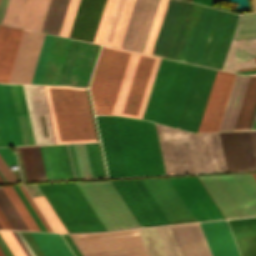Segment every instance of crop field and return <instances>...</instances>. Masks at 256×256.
Here are the masks:
<instances>
[{
    "instance_id": "crop-field-1",
    "label": "crop field",
    "mask_w": 256,
    "mask_h": 256,
    "mask_svg": "<svg viewBox=\"0 0 256 256\" xmlns=\"http://www.w3.org/2000/svg\"><path fill=\"white\" fill-rule=\"evenodd\" d=\"M188 4L169 0L151 54L171 57ZM238 17L203 6L197 24L179 33L171 58L222 69Z\"/></svg>"
},
{
    "instance_id": "crop-field-2",
    "label": "crop field",
    "mask_w": 256,
    "mask_h": 256,
    "mask_svg": "<svg viewBox=\"0 0 256 256\" xmlns=\"http://www.w3.org/2000/svg\"><path fill=\"white\" fill-rule=\"evenodd\" d=\"M160 59L102 46L90 86L95 113L141 118Z\"/></svg>"
},
{
    "instance_id": "crop-field-3",
    "label": "crop field",
    "mask_w": 256,
    "mask_h": 256,
    "mask_svg": "<svg viewBox=\"0 0 256 256\" xmlns=\"http://www.w3.org/2000/svg\"><path fill=\"white\" fill-rule=\"evenodd\" d=\"M126 176L165 174L155 125L112 116ZM111 116H96L109 177L125 176Z\"/></svg>"
},
{
    "instance_id": "crop-field-4",
    "label": "crop field",
    "mask_w": 256,
    "mask_h": 256,
    "mask_svg": "<svg viewBox=\"0 0 256 256\" xmlns=\"http://www.w3.org/2000/svg\"><path fill=\"white\" fill-rule=\"evenodd\" d=\"M197 66L178 128L197 132L215 74ZM236 74L216 71L198 132L218 131Z\"/></svg>"
},
{
    "instance_id": "crop-field-5",
    "label": "crop field",
    "mask_w": 256,
    "mask_h": 256,
    "mask_svg": "<svg viewBox=\"0 0 256 256\" xmlns=\"http://www.w3.org/2000/svg\"><path fill=\"white\" fill-rule=\"evenodd\" d=\"M195 67L162 58L142 118L177 128Z\"/></svg>"
},
{
    "instance_id": "crop-field-6",
    "label": "crop field",
    "mask_w": 256,
    "mask_h": 256,
    "mask_svg": "<svg viewBox=\"0 0 256 256\" xmlns=\"http://www.w3.org/2000/svg\"><path fill=\"white\" fill-rule=\"evenodd\" d=\"M44 88L57 143L97 141L85 89Z\"/></svg>"
},
{
    "instance_id": "crop-field-7",
    "label": "crop field",
    "mask_w": 256,
    "mask_h": 256,
    "mask_svg": "<svg viewBox=\"0 0 256 256\" xmlns=\"http://www.w3.org/2000/svg\"><path fill=\"white\" fill-rule=\"evenodd\" d=\"M40 148L48 180L105 177L96 143Z\"/></svg>"
},
{
    "instance_id": "crop-field-8",
    "label": "crop field",
    "mask_w": 256,
    "mask_h": 256,
    "mask_svg": "<svg viewBox=\"0 0 256 256\" xmlns=\"http://www.w3.org/2000/svg\"><path fill=\"white\" fill-rule=\"evenodd\" d=\"M38 187L68 232L106 231L75 183Z\"/></svg>"
},
{
    "instance_id": "crop-field-9",
    "label": "crop field",
    "mask_w": 256,
    "mask_h": 256,
    "mask_svg": "<svg viewBox=\"0 0 256 256\" xmlns=\"http://www.w3.org/2000/svg\"><path fill=\"white\" fill-rule=\"evenodd\" d=\"M199 178L227 218L256 215V182L251 174Z\"/></svg>"
},
{
    "instance_id": "crop-field-10",
    "label": "crop field",
    "mask_w": 256,
    "mask_h": 256,
    "mask_svg": "<svg viewBox=\"0 0 256 256\" xmlns=\"http://www.w3.org/2000/svg\"><path fill=\"white\" fill-rule=\"evenodd\" d=\"M106 229L140 227L110 181L76 183Z\"/></svg>"
},
{
    "instance_id": "crop-field-11",
    "label": "crop field",
    "mask_w": 256,
    "mask_h": 256,
    "mask_svg": "<svg viewBox=\"0 0 256 256\" xmlns=\"http://www.w3.org/2000/svg\"><path fill=\"white\" fill-rule=\"evenodd\" d=\"M78 248L142 242L137 230L71 235ZM83 256H147L142 243L80 249Z\"/></svg>"
},
{
    "instance_id": "crop-field-12",
    "label": "crop field",
    "mask_w": 256,
    "mask_h": 256,
    "mask_svg": "<svg viewBox=\"0 0 256 256\" xmlns=\"http://www.w3.org/2000/svg\"><path fill=\"white\" fill-rule=\"evenodd\" d=\"M238 75V74H237ZM251 76V75H248ZM250 77L236 76L220 129H234ZM256 107V74L251 76L235 130L249 129ZM226 131V130H219Z\"/></svg>"
},
{
    "instance_id": "crop-field-13",
    "label": "crop field",
    "mask_w": 256,
    "mask_h": 256,
    "mask_svg": "<svg viewBox=\"0 0 256 256\" xmlns=\"http://www.w3.org/2000/svg\"><path fill=\"white\" fill-rule=\"evenodd\" d=\"M141 227L169 224L141 180L112 182ZM171 224V223H170Z\"/></svg>"
},
{
    "instance_id": "crop-field-14",
    "label": "crop field",
    "mask_w": 256,
    "mask_h": 256,
    "mask_svg": "<svg viewBox=\"0 0 256 256\" xmlns=\"http://www.w3.org/2000/svg\"><path fill=\"white\" fill-rule=\"evenodd\" d=\"M196 221L225 218L198 177L169 179Z\"/></svg>"
},
{
    "instance_id": "crop-field-15",
    "label": "crop field",
    "mask_w": 256,
    "mask_h": 256,
    "mask_svg": "<svg viewBox=\"0 0 256 256\" xmlns=\"http://www.w3.org/2000/svg\"><path fill=\"white\" fill-rule=\"evenodd\" d=\"M69 40L45 35L31 84H58Z\"/></svg>"
},
{
    "instance_id": "crop-field-16",
    "label": "crop field",
    "mask_w": 256,
    "mask_h": 256,
    "mask_svg": "<svg viewBox=\"0 0 256 256\" xmlns=\"http://www.w3.org/2000/svg\"><path fill=\"white\" fill-rule=\"evenodd\" d=\"M142 181L171 224L195 221L167 178Z\"/></svg>"
},
{
    "instance_id": "crop-field-17",
    "label": "crop field",
    "mask_w": 256,
    "mask_h": 256,
    "mask_svg": "<svg viewBox=\"0 0 256 256\" xmlns=\"http://www.w3.org/2000/svg\"><path fill=\"white\" fill-rule=\"evenodd\" d=\"M44 35L23 31L9 83H31Z\"/></svg>"
},
{
    "instance_id": "crop-field-18",
    "label": "crop field",
    "mask_w": 256,
    "mask_h": 256,
    "mask_svg": "<svg viewBox=\"0 0 256 256\" xmlns=\"http://www.w3.org/2000/svg\"><path fill=\"white\" fill-rule=\"evenodd\" d=\"M49 0H9L4 24L41 30Z\"/></svg>"
},
{
    "instance_id": "crop-field-19",
    "label": "crop field",
    "mask_w": 256,
    "mask_h": 256,
    "mask_svg": "<svg viewBox=\"0 0 256 256\" xmlns=\"http://www.w3.org/2000/svg\"><path fill=\"white\" fill-rule=\"evenodd\" d=\"M212 256H239L226 221L200 223Z\"/></svg>"
},
{
    "instance_id": "crop-field-20",
    "label": "crop field",
    "mask_w": 256,
    "mask_h": 256,
    "mask_svg": "<svg viewBox=\"0 0 256 256\" xmlns=\"http://www.w3.org/2000/svg\"><path fill=\"white\" fill-rule=\"evenodd\" d=\"M102 4L103 0H80L69 37L91 41Z\"/></svg>"
},
{
    "instance_id": "crop-field-21",
    "label": "crop field",
    "mask_w": 256,
    "mask_h": 256,
    "mask_svg": "<svg viewBox=\"0 0 256 256\" xmlns=\"http://www.w3.org/2000/svg\"><path fill=\"white\" fill-rule=\"evenodd\" d=\"M0 121L6 146L23 145L9 85L0 84Z\"/></svg>"
},
{
    "instance_id": "crop-field-22",
    "label": "crop field",
    "mask_w": 256,
    "mask_h": 256,
    "mask_svg": "<svg viewBox=\"0 0 256 256\" xmlns=\"http://www.w3.org/2000/svg\"><path fill=\"white\" fill-rule=\"evenodd\" d=\"M172 227L184 256H211L199 223Z\"/></svg>"
},
{
    "instance_id": "crop-field-23",
    "label": "crop field",
    "mask_w": 256,
    "mask_h": 256,
    "mask_svg": "<svg viewBox=\"0 0 256 256\" xmlns=\"http://www.w3.org/2000/svg\"><path fill=\"white\" fill-rule=\"evenodd\" d=\"M22 31L0 25V82L9 81Z\"/></svg>"
},
{
    "instance_id": "crop-field-24",
    "label": "crop field",
    "mask_w": 256,
    "mask_h": 256,
    "mask_svg": "<svg viewBox=\"0 0 256 256\" xmlns=\"http://www.w3.org/2000/svg\"><path fill=\"white\" fill-rule=\"evenodd\" d=\"M96 44L79 42L76 58L67 85L86 87L97 50Z\"/></svg>"
},
{
    "instance_id": "crop-field-25",
    "label": "crop field",
    "mask_w": 256,
    "mask_h": 256,
    "mask_svg": "<svg viewBox=\"0 0 256 256\" xmlns=\"http://www.w3.org/2000/svg\"><path fill=\"white\" fill-rule=\"evenodd\" d=\"M219 135L228 170L247 169L239 132Z\"/></svg>"
},
{
    "instance_id": "crop-field-26",
    "label": "crop field",
    "mask_w": 256,
    "mask_h": 256,
    "mask_svg": "<svg viewBox=\"0 0 256 256\" xmlns=\"http://www.w3.org/2000/svg\"><path fill=\"white\" fill-rule=\"evenodd\" d=\"M24 145L35 144L22 85H10Z\"/></svg>"
},
{
    "instance_id": "crop-field-27",
    "label": "crop field",
    "mask_w": 256,
    "mask_h": 256,
    "mask_svg": "<svg viewBox=\"0 0 256 256\" xmlns=\"http://www.w3.org/2000/svg\"><path fill=\"white\" fill-rule=\"evenodd\" d=\"M45 256H74L59 234L31 232Z\"/></svg>"
},
{
    "instance_id": "crop-field-28",
    "label": "crop field",
    "mask_w": 256,
    "mask_h": 256,
    "mask_svg": "<svg viewBox=\"0 0 256 256\" xmlns=\"http://www.w3.org/2000/svg\"><path fill=\"white\" fill-rule=\"evenodd\" d=\"M230 227L241 256H256V224Z\"/></svg>"
},
{
    "instance_id": "crop-field-29",
    "label": "crop field",
    "mask_w": 256,
    "mask_h": 256,
    "mask_svg": "<svg viewBox=\"0 0 256 256\" xmlns=\"http://www.w3.org/2000/svg\"><path fill=\"white\" fill-rule=\"evenodd\" d=\"M69 0H50L43 23V32L59 34Z\"/></svg>"
},
{
    "instance_id": "crop-field-30",
    "label": "crop field",
    "mask_w": 256,
    "mask_h": 256,
    "mask_svg": "<svg viewBox=\"0 0 256 256\" xmlns=\"http://www.w3.org/2000/svg\"><path fill=\"white\" fill-rule=\"evenodd\" d=\"M0 208L10 222L13 229L28 230L2 187H0Z\"/></svg>"
},
{
    "instance_id": "crop-field-31",
    "label": "crop field",
    "mask_w": 256,
    "mask_h": 256,
    "mask_svg": "<svg viewBox=\"0 0 256 256\" xmlns=\"http://www.w3.org/2000/svg\"><path fill=\"white\" fill-rule=\"evenodd\" d=\"M3 189L5 190L6 194L8 195L10 200L12 201V203L15 206V208L17 209V211L19 212L20 216L22 217V219L26 223L29 230L40 231L37 224L33 220L32 216L30 215V213L26 209L25 205L21 201L20 197L18 196V194L14 190L13 186L3 187Z\"/></svg>"
},
{
    "instance_id": "crop-field-32",
    "label": "crop field",
    "mask_w": 256,
    "mask_h": 256,
    "mask_svg": "<svg viewBox=\"0 0 256 256\" xmlns=\"http://www.w3.org/2000/svg\"><path fill=\"white\" fill-rule=\"evenodd\" d=\"M46 220L55 232H67L44 196L33 197Z\"/></svg>"
},
{
    "instance_id": "crop-field-33",
    "label": "crop field",
    "mask_w": 256,
    "mask_h": 256,
    "mask_svg": "<svg viewBox=\"0 0 256 256\" xmlns=\"http://www.w3.org/2000/svg\"><path fill=\"white\" fill-rule=\"evenodd\" d=\"M0 155L5 160V162L10 167L11 165H17L16 158L10 147H2L0 148ZM0 156V172L8 181V183L19 182L7 164Z\"/></svg>"
},
{
    "instance_id": "crop-field-34",
    "label": "crop field",
    "mask_w": 256,
    "mask_h": 256,
    "mask_svg": "<svg viewBox=\"0 0 256 256\" xmlns=\"http://www.w3.org/2000/svg\"><path fill=\"white\" fill-rule=\"evenodd\" d=\"M256 36V13L241 15L234 39Z\"/></svg>"
},
{
    "instance_id": "crop-field-35",
    "label": "crop field",
    "mask_w": 256,
    "mask_h": 256,
    "mask_svg": "<svg viewBox=\"0 0 256 256\" xmlns=\"http://www.w3.org/2000/svg\"><path fill=\"white\" fill-rule=\"evenodd\" d=\"M78 42L79 41H77V40H73V39L70 40V44L68 47L67 55L65 58L64 66L62 69V73H61V77H60L58 85H66L67 84V80H68L71 66H72V63L74 60Z\"/></svg>"
},
{
    "instance_id": "crop-field-36",
    "label": "crop field",
    "mask_w": 256,
    "mask_h": 256,
    "mask_svg": "<svg viewBox=\"0 0 256 256\" xmlns=\"http://www.w3.org/2000/svg\"><path fill=\"white\" fill-rule=\"evenodd\" d=\"M78 2H79V0H70L69 6H68V9H67V12H66V15H65V18H64L62 28H61V31H60L59 35L66 36V37L69 36V32H70V29H71V26H72V22H73V19H74V16H75V12H76V9H77V6H78Z\"/></svg>"
},
{
    "instance_id": "crop-field-37",
    "label": "crop field",
    "mask_w": 256,
    "mask_h": 256,
    "mask_svg": "<svg viewBox=\"0 0 256 256\" xmlns=\"http://www.w3.org/2000/svg\"><path fill=\"white\" fill-rule=\"evenodd\" d=\"M248 169H256V163L248 131L240 132Z\"/></svg>"
},
{
    "instance_id": "crop-field-38",
    "label": "crop field",
    "mask_w": 256,
    "mask_h": 256,
    "mask_svg": "<svg viewBox=\"0 0 256 256\" xmlns=\"http://www.w3.org/2000/svg\"><path fill=\"white\" fill-rule=\"evenodd\" d=\"M0 233L15 256H26L11 231L0 230Z\"/></svg>"
},
{
    "instance_id": "crop-field-39",
    "label": "crop field",
    "mask_w": 256,
    "mask_h": 256,
    "mask_svg": "<svg viewBox=\"0 0 256 256\" xmlns=\"http://www.w3.org/2000/svg\"><path fill=\"white\" fill-rule=\"evenodd\" d=\"M31 148H32V152H33V156H34V160H35L39 180L40 181L47 180L46 176H45V172H44V167H43V162H42V158H41L40 148H39V146H31Z\"/></svg>"
},
{
    "instance_id": "crop-field-40",
    "label": "crop field",
    "mask_w": 256,
    "mask_h": 256,
    "mask_svg": "<svg viewBox=\"0 0 256 256\" xmlns=\"http://www.w3.org/2000/svg\"><path fill=\"white\" fill-rule=\"evenodd\" d=\"M14 188L16 189L17 193L19 194V196L21 197L22 201L24 202V204L26 205V207L28 208L29 212L31 213V215L33 216L34 220L36 221V223L38 224L39 228L41 229V231H46V229L44 228L43 224L41 223V221L39 220L38 216L36 215V213L34 212V210L32 209L31 205L29 204V202L27 201L26 197L24 196V194L22 193L21 189L19 188V186H14ZM14 189V190H15Z\"/></svg>"
},
{
    "instance_id": "crop-field-41",
    "label": "crop field",
    "mask_w": 256,
    "mask_h": 256,
    "mask_svg": "<svg viewBox=\"0 0 256 256\" xmlns=\"http://www.w3.org/2000/svg\"><path fill=\"white\" fill-rule=\"evenodd\" d=\"M21 234L23 235V237L25 238V240L27 241V243L29 244L30 248L32 249V251L34 252V254L36 256H44V254L40 250L39 246L37 245V243L33 239L30 232H21Z\"/></svg>"
},
{
    "instance_id": "crop-field-42",
    "label": "crop field",
    "mask_w": 256,
    "mask_h": 256,
    "mask_svg": "<svg viewBox=\"0 0 256 256\" xmlns=\"http://www.w3.org/2000/svg\"><path fill=\"white\" fill-rule=\"evenodd\" d=\"M20 188L22 189L23 193L25 194V196L27 197L28 201L30 202V204L32 205V207L34 208L35 212L37 213V215L39 216L40 220L42 221V223L44 224L45 228L47 229V231H51V229L49 228V226L47 225L46 221L44 220V218L42 217V215L40 214V212L38 211L37 207L35 206V204L33 203V201L31 200V198L29 197L28 193L26 192V190L24 189L23 186H20Z\"/></svg>"
},
{
    "instance_id": "crop-field-43",
    "label": "crop field",
    "mask_w": 256,
    "mask_h": 256,
    "mask_svg": "<svg viewBox=\"0 0 256 256\" xmlns=\"http://www.w3.org/2000/svg\"><path fill=\"white\" fill-rule=\"evenodd\" d=\"M62 236L64 237V239L66 240V242L70 246V248L73 251V253L75 254V256H82L81 252L79 251V249L77 248V246L75 245V243L71 239V237L69 235H62Z\"/></svg>"
},
{
    "instance_id": "crop-field-44",
    "label": "crop field",
    "mask_w": 256,
    "mask_h": 256,
    "mask_svg": "<svg viewBox=\"0 0 256 256\" xmlns=\"http://www.w3.org/2000/svg\"><path fill=\"white\" fill-rule=\"evenodd\" d=\"M230 225L235 224H246V223H256V217L254 218H244V219H234V220H228Z\"/></svg>"
},
{
    "instance_id": "crop-field-45",
    "label": "crop field",
    "mask_w": 256,
    "mask_h": 256,
    "mask_svg": "<svg viewBox=\"0 0 256 256\" xmlns=\"http://www.w3.org/2000/svg\"><path fill=\"white\" fill-rule=\"evenodd\" d=\"M0 247L3 250V252L5 253L6 256H14L12 254V252L10 251V249L8 248L5 241L3 240V238L1 237V235H0Z\"/></svg>"
},
{
    "instance_id": "crop-field-46",
    "label": "crop field",
    "mask_w": 256,
    "mask_h": 256,
    "mask_svg": "<svg viewBox=\"0 0 256 256\" xmlns=\"http://www.w3.org/2000/svg\"><path fill=\"white\" fill-rule=\"evenodd\" d=\"M7 2L8 0H0V23L2 22Z\"/></svg>"
},
{
    "instance_id": "crop-field-47",
    "label": "crop field",
    "mask_w": 256,
    "mask_h": 256,
    "mask_svg": "<svg viewBox=\"0 0 256 256\" xmlns=\"http://www.w3.org/2000/svg\"><path fill=\"white\" fill-rule=\"evenodd\" d=\"M256 159V131H249Z\"/></svg>"
},
{
    "instance_id": "crop-field-48",
    "label": "crop field",
    "mask_w": 256,
    "mask_h": 256,
    "mask_svg": "<svg viewBox=\"0 0 256 256\" xmlns=\"http://www.w3.org/2000/svg\"><path fill=\"white\" fill-rule=\"evenodd\" d=\"M12 233L14 234L15 238L17 239V241L19 242V244L21 245V247L23 248L24 252L26 253L27 256H31L29 254V252L27 251V249L25 248V246L23 245L22 241L20 240V238L18 237V235L16 234V232H13Z\"/></svg>"
},
{
    "instance_id": "crop-field-49",
    "label": "crop field",
    "mask_w": 256,
    "mask_h": 256,
    "mask_svg": "<svg viewBox=\"0 0 256 256\" xmlns=\"http://www.w3.org/2000/svg\"><path fill=\"white\" fill-rule=\"evenodd\" d=\"M0 217H1L2 221L4 222V224L6 225V227H7L8 229H12V227H11L10 224L8 223L7 219L5 218V216L3 215V213L1 212V210H0Z\"/></svg>"
},
{
    "instance_id": "crop-field-50",
    "label": "crop field",
    "mask_w": 256,
    "mask_h": 256,
    "mask_svg": "<svg viewBox=\"0 0 256 256\" xmlns=\"http://www.w3.org/2000/svg\"><path fill=\"white\" fill-rule=\"evenodd\" d=\"M17 234L19 235V237L21 238V240H22L23 243L25 244V246H26V248L28 249V251L30 252V254H31L32 256H35V255L33 254V252L31 251V249L29 248V246L27 245V243H26V241L24 240V238L22 237V235L20 234V232H17Z\"/></svg>"
},
{
    "instance_id": "crop-field-51",
    "label": "crop field",
    "mask_w": 256,
    "mask_h": 256,
    "mask_svg": "<svg viewBox=\"0 0 256 256\" xmlns=\"http://www.w3.org/2000/svg\"><path fill=\"white\" fill-rule=\"evenodd\" d=\"M0 146H5L4 140H3V135H2L1 126H0Z\"/></svg>"
},
{
    "instance_id": "crop-field-52",
    "label": "crop field",
    "mask_w": 256,
    "mask_h": 256,
    "mask_svg": "<svg viewBox=\"0 0 256 256\" xmlns=\"http://www.w3.org/2000/svg\"><path fill=\"white\" fill-rule=\"evenodd\" d=\"M211 2H212V0H202V3H201V4L210 6V5H211Z\"/></svg>"
},
{
    "instance_id": "crop-field-53",
    "label": "crop field",
    "mask_w": 256,
    "mask_h": 256,
    "mask_svg": "<svg viewBox=\"0 0 256 256\" xmlns=\"http://www.w3.org/2000/svg\"><path fill=\"white\" fill-rule=\"evenodd\" d=\"M252 7H253V11H256L255 0H252Z\"/></svg>"
},
{
    "instance_id": "crop-field-54",
    "label": "crop field",
    "mask_w": 256,
    "mask_h": 256,
    "mask_svg": "<svg viewBox=\"0 0 256 256\" xmlns=\"http://www.w3.org/2000/svg\"><path fill=\"white\" fill-rule=\"evenodd\" d=\"M193 2H196V3H201V0H192Z\"/></svg>"
},
{
    "instance_id": "crop-field-55",
    "label": "crop field",
    "mask_w": 256,
    "mask_h": 256,
    "mask_svg": "<svg viewBox=\"0 0 256 256\" xmlns=\"http://www.w3.org/2000/svg\"><path fill=\"white\" fill-rule=\"evenodd\" d=\"M0 256H5L1 249H0Z\"/></svg>"
},
{
    "instance_id": "crop-field-56",
    "label": "crop field",
    "mask_w": 256,
    "mask_h": 256,
    "mask_svg": "<svg viewBox=\"0 0 256 256\" xmlns=\"http://www.w3.org/2000/svg\"><path fill=\"white\" fill-rule=\"evenodd\" d=\"M0 176L2 177V179L5 181V183H7V181L4 179V177L1 175V173H0Z\"/></svg>"
},
{
    "instance_id": "crop-field-57",
    "label": "crop field",
    "mask_w": 256,
    "mask_h": 256,
    "mask_svg": "<svg viewBox=\"0 0 256 256\" xmlns=\"http://www.w3.org/2000/svg\"><path fill=\"white\" fill-rule=\"evenodd\" d=\"M0 183H4V181L1 179V177H0Z\"/></svg>"
},
{
    "instance_id": "crop-field-58",
    "label": "crop field",
    "mask_w": 256,
    "mask_h": 256,
    "mask_svg": "<svg viewBox=\"0 0 256 256\" xmlns=\"http://www.w3.org/2000/svg\"><path fill=\"white\" fill-rule=\"evenodd\" d=\"M253 176L255 177V179H256V174H253Z\"/></svg>"
},
{
    "instance_id": "crop-field-59",
    "label": "crop field",
    "mask_w": 256,
    "mask_h": 256,
    "mask_svg": "<svg viewBox=\"0 0 256 256\" xmlns=\"http://www.w3.org/2000/svg\"><path fill=\"white\" fill-rule=\"evenodd\" d=\"M254 129H256V123H255V127H254Z\"/></svg>"
},
{
    "instance_id": "crop-field-60",
    "label": "crop field",
    "mask_w": 256,
    "mask_h": 256,
    "mask_svg": "<svg viewBox=\"0 0 256 256\" xmlns=\"http://www.w3.org/2000/svg\"><path fill=\"white\" fill-rule=\"evenodd\" d=\"M189 1H191V0H189Z\"/></svg>"
}]
</instances>
